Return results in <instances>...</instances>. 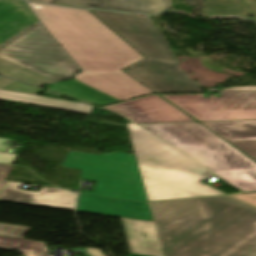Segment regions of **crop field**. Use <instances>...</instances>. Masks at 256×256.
<instances>
[{"label":"crop field","instance_id":"obj_1","mask_svg":"<svg viewBox=\"0 0 256 256\" xmlns=\"http://www.w3.org/2000/svg\"><path fill=\"white\" fill-rule=\"evenodd\" d=\"M164 256H256V209L230 196L148 203Z\"/></svg>","mask_w":256,"mask_h":256},{"label":"crop field","instance_id":"obj_2","mask_svg":"<svg viewBox=\"0 0 256 256\" xmlns=\"http://www.w3.org/2000/svg\"><path fill=\"white\" fill-rule=\"evenodd\" d=\"M29 4L84 70L75 79L121 101L153 94L120 71L143 57L90 12Z\"/></svg>","mask_w":256,"mask_h":256},{"label":"crop field","instance_id":"obj_3","mask_svg":"<svg viewBox=\"0 0 256 256\" xmlns=\"http://www.w3.org/2000/svg\"><path fill=\"white\" fill-rule=\"evenodd\" d=\"M127 125L148 201L224 195L200 184V180L213 175L194 160L135 124Z\"/></svg>","mask_w":256,"mask_h":256},{"label":"crop field","instance_id":"obj_4","mask_svg":"<svg viewBox=\"0 0 256 256\" xmlns=\"http://www.w3.org/2000/svg\"><path fill=\"white\" fill-rule=\"evenodd\" d=\"M90 11L146 57L124 72L157 94L203 92L188 80L149 16Z\"/></svg>","mask_w":256,"mask_h":256},{"label":"crop field","instance_id":"obj_5","mask_svg":"<svg viewBox=\"0 0 256 256\" xmlns=\"http://www.w3.org/2000/svg\"><path fill=\"white\" fill-rule=\"evenodd\" d=\"M139 125L239 190L256 191V163L200 123Z\"/></svg>","mask_w":256,"mask_h":256},{"label":"crop field","instance_id":"obj_6","mask_svg":"<svg viewBox=\"0 0 256 256\" xmlns=\"http://www.w3.org/2000/svg\"><path fill=\"white\" fill-rule=\"evenodd\" d=\"M79 70L39 21L0 45V74L23 82L39 86Z\"/></svg>","mask_w":256,"mask_h":256},{"label":"crop field","instance_id":"obj_7","mask_svg":"<svg viewBox=\"0 0 256 256\" xmlns=\"http://www.w3.org/2000/svg\"><path fill=\"white\" fill-rule=\"evenodd\" d=\"M62 167L82 169L80 178L97 182L95 193H80L147 201L134 154L69 151Z\"/></svg>","mask_w":256,"mask_h":256},{"label":"crop field","instance_id":"obj_8","mask_svg":"<svg viewBox=\"0 0 256 256\" xmlns=\"http://www.w3.org/2000/svg\"><path fill=\"white\" fill-rule=\"evenodd\" d=\"M198 121L256 120V87L221 92V98L204 95L162 96Z\"/></svg>","mask_w":256,"mask_h":256},{"label":"crop field","instance_id":"obj_9","mask_svg":"<svg viewBox=\"0 0 256 256\" xmlns=\"http://www.w3.org/2000/svg\"><path fill=\"white\" fill-rule=\"evenodd\" d=\"M136 123L196 122L159 96L144 97L108 107Z\"/></svg>","mask_w":256,"mask_h":256},{"label":"crop field","instance_id":"obj_10","mask_svg":"<svg viewBox=\"0 0 256 256\" xmlns=\"http://www.w3.org/2000/svg\"><path fill=\"white\" fill-rule=\"evenodd\" d=\"M22 183L6 181L0 199L74 210L76 194L67 190L42 187L39 192L19 190Z\"/></svg>","mask_w":256,"mask_h":256},{"label":"crop field","instance_id":"obj_11","mask_svg":"<svg viewBox=\"0 0 256 256\" xmlns=\"http://www.w3.org/2000/svg\"><path fill=\"white\" fill-rule=\"evenodd\" d=\"M76 210L153 221L147 203L79 195Z\"/></svg>","mask_w":256,"mask_h":256},{"label":"crop field","instance_id":"obj_12","mask_svg":"<svg viewBox=\"0 0 256 256\" xmlns=\"http://www.w3.org/2000/svg\"><path fill=\"white\" fill-rule=\"evenodd\" d=\"M121 219L131 253L163 256L154 222Z\"/></svg>","mask_w":256,"mask_h":256},{"label":"crop field","instance_id":"obj_13","mask_svg":"<svg viewBox=\"0 0 256 256\" xmlns=\"http://www.w3.org/2000/svg\"><path fill=\"white\" fill-rule=\"evenodd\" d=\"M256 160V121L202 123Z\"/></svg>","mask_w":256,"mask_h":256},{"label":"crop field","instance_id":"obj_14","mask_svg":"<svg viewBox=\"0 0 256 256\" xmlns=\"http://www.w3.org/2000/svg\"><path fill=\"white\" fill-rule=\"evenodd\" d=\"M36 21L24 2L0 0V44Z\"/></svg>","mask_w":256,"mask_h":256},{"label":"crop field","instance_id":"obj_15","mask_svg":"<svg viewBox=\"0 0 256 256\" xmlns=\"http://www.w3.org/2000/svg\"><path fill=\"white\" fill-rule=\"evenodd\" d=\"M56 3L98 9L155 14L167 9L166 0H55Z\"/></svg>","mask_w":256,"mask_h":256},{"label":"crop field","instance_id":"obj_16","mask_svg":"<svg viewBox=\"0 0 256 256\" xmlns=\"http://www.w3.org/2000/svg\"><path fill=\"white\" fill-rule=\"evenodd\" d=\"M46 90L99 106L120 102L119 100L75 79L59 82Z\"/></svg>","mask_w":256,"mask_h":256},{"label":"crop field","instance_id":"obj_17","mask_svg":"<svg viewBox=\"0 0 256 256\" xmlns=\"http://www.w3.org/2000/svg\"><path fill=\"white\" fill-rule=\"evenodd\" d=\"M0 99L32 104L37 106H43V107H49V108H55V109H61V110H67V111H73V112H79V113H85V114H90V112L93 109V106H89L85 104H79V103H74L69 101H63V100H57V99H51V98H46L41 96L27 95V94H21V93H15V92L3 91V90H0Z\"/></svg>","mask_w":256,"mask_h":256},{"label":"crop field","instance_id":"obj_18","mask_svg":"<svg viewBox=\"0 0 256 256\" xmlns=\"http://www.w3.org/2000/svg\"><path fill=\"white\" fill-rule=\"evenodd\" d=\"M0 248L21 251L25 256H45L48 253L44 242L0 236Z\"/></svg>","mask_w":256,"mask_h":256},{"label":"crop field","instance_id":"obj_19","mask_svg":"<svg viewBox=\"0 0 256 256\" xmlns=\"http://www.w3.org/2000/svg\"><path fill=\"white\" fill-rule=\"evenodd\" d=\"M30 230L28 227L7 225L0 223V235L24 238Z\"/></svg>","mask_w":256,"mask_h":256},{"label":"crop field","instance_id":"obj_20","mask_svg":"<svg viewBox=\"0 0 256 256\" xmlns=\"http://www.w3.org/2000/svg\"><path fill=\"white\" fill-rule=\"evenodd\" d=\"M3 90H9V91H15V92H21V93H27V94H34L37 95L38 93H40L42 90L30 87V86H26L20 83H13L5 88H3Z\"/></svg>","mask_w":256,"mask_h":256},{"label":"crop field","instance_id":"obj_21","mask_svg":"<svg viewBox=\"0 0 256 256\" xmlns=\"http://www.w3.org/2000/svg\"><path fill=\"white\" fill-rule=\"evenodd\" d=\"M13 166L0 164V191Z\"/></svg>","mask_w":256,"mask_h":256},{"label":"crop field","instance_id":"obj_22","mask_svg":"<svg viewBox=\"0 0 256 256\" xmlns=\"http://www.w3.org/2000/svg\"><path fill=\"white\" fill-rule=\"evenodd\" d=\"M233 196L256 206V193L240 194V195H233Z\"/></svg>","mask_w":256,"mask_h":256},{"label":"crop field","instance_id":"obj_23","mask_svg":"<svg viewBox=\"0 0 256 256\" xmlns=\"http://www.w3.org/2000/svg\"><path fill=\"white\" fill-rule=\"evenodd\" d=\"M19 149H13L11 154L0 153V163L12 164Z\"/></svg>","mask_w":256,"mask_h":256},{"label":"crop field","instance_id":"obj_24","mask_svg":"<svg viewBox=\"0 0 256 256\" xmlns=\"http://www.w3.org/2000/svg\"><path fill=\"white\" fill-rule=\"evenodd\" d=\"M90 256H103L99 250L85 248Z\"/></svg>","mask_w":256,"mask_h":256},{"label":"crop field","instance_id":"obj_25","mask_svg":"<svg viewBox=\"0 0 256 256\" xmlns=\"http://www.w3.org/2000/svg\"><path fill=\"white\" fill-rule=\"evenodd\" d=\"M9 140V139H5V138H0V151H6L8 149V145L6 144H2V142Z\"/></svg>","mask_w":256,"mask_h":256},{"label":"crop field","instance_id":"obj_26","mask_svg":"<svg viewBox=\"0 0 256 256\" xmlns=\"http://www.w3.org/2000/svg\"><path fill=\"white\" fill-rule=\"evenodd\" d=\"M10 81H12V80L0 76V87L5 85L6 83H8Z\"/></svg>","mask_w":256,"mask_h":256},{"label":"crop field","instance_id":"obj_27","mask_svg":"<svg viewBox=\"0 0 256 256\" xmlns=\"http://www.w3.org/2000/svg\"><path fill=\"white\" fill-rule=\"evenodd\" d=\"M44 96L61 99V96L49 92L44 93Z\"/></svg>","mask_w":256,"mask_h":256},{"label":"crop field","instance_id":"obj_28","mask_svg":"<svg viewBox=\"0 0 256 256\" xmlns=\"http://www.w3.org/2000/svg\"><path fill=\"white\" fill-rule=\"evenodd\" d=\"M32 1H38V2H44V3L51 2V0H32Z\"/></svg>","mask_w":256,"mask_h":256},{"label":"crop field","instance_id":"obj_29","mask_svg":"<svg viewBox=\"0 0 256 256\" xmlns=\"http://www.w3.org/2000/svg\"><path fill=\"white\" fill-rule=\"evenodd\" d=\"M130 256H143V255H135V254H130Z\"/></svg>","mask_w":256,"mask_h":256}]
</instances>
